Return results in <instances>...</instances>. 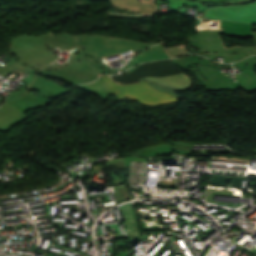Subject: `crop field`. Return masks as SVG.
<instances>
[{"instance_id":"34b2d1b8","label":"crop field","mask_w":256,"mask_h":256,"mask_svg":"<svg viewBox=\"0 0 256 256\" xmlns=\"http://www.w3.org/2000/svg\"><path fill=\"white\" fill-rule=\"evenodd\" d=\"M174 57H177V48H173ZM183 55V47L178 48V56ZM184 55H185V49H184ZM170 57L172 58V48L170 49Z\"/></svg>"},{"instance_id":"ac0d7876","label":"crop field","mask_w":256,"mask_h":256,"mask_svg":"<svg viewBox=\"0 0 256 256\" xmlns=\"http://www.w3.org/2000/svg\"><path fill=\"white\" fill-rule=\"evenodd\" d=\"M125 208H126V211H127V215H128L129 221H130L131 228L134 229L133 225H132V221H131L130 215H129L128 208L127 207H125ZM121 210H122V213H123V217H124V220H125L126 227H127L128 232H129V235L132 236L131 231H130L129 226H128V222H127L126 216H125L124 209L122 208Z\"/></svg>"},{"instance_id":"8a807250","label":"crop field","mask_w":256,"mask_h":256,"mask_svg":"<svg viewBox=\"0 0 256 256\" xmlns=\"http://www.w3.org/2000/svg\"><path fill=\"white\" fill-rule=\"evenodd\" d=\"M205 17L256 24V0L246 6H218L208 8Z\"/></svg>"}]
</instances>
